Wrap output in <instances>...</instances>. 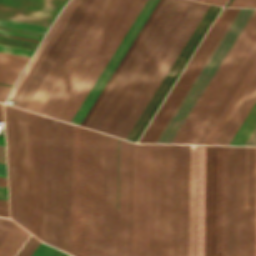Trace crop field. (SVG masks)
Listing matches in <instances>:
<instances>
[{
    "instance_id": "crop-field-1",
    "label": "crop field",
    "mask_w": 256,
    "mask_h": 256,
    "mask_svg": "<svg viewBox=\"0 0 256 256\" xmlns=\"http://www.w3.org/2000/svg\"><path fill=\"white\" fill-rule=\"evenodd\" d=\"M92 2H93V0H80L77 7L71 14L70 18L64 25L63 29L61 30V32L55 39L54 43L48 50V52L45 55V57L43 58V60L41 61L40 65L34 72L33 76L27 83L26 87L20 94L19 98L14 103V106L25 109L28 102L34 95L35 91L41 84L42 80L48 73L49 69L55 62L56 58L62 51L63 47L67 43L68 39L74 32L75 28L81 21L82 17L86 13V11L88 10V8ZM106 2H107V0H94L92 5L90 6L89 10L83 17L82 21L76 28L75 32L69 39L68 43L64 47L63 51L57 58L56 62L50 69L49 73L43 80L42 84L36 91L35 95L29 102L28 106L26 107L27 110L37 112L40 105L46 98L47 94L53 87L54 83L60 76L61 72L67 65L68 61L74 54L75 50L79 46L80 42L86 35L87 31L93 24L94 20L96 19V17L100 13L101 9L103 8V6L105 5ZM120 2H121V0H108L106 5L102 9L101 13L95 20L94 24L88 31L87 35L81 42L80 46L76 50L75 54L69 61L68 65L62 72L61 76L55 83L54 87L48 94L47 98L41 105L40 109L38 110V113L45 114V115L49 116L52 109L54 108L57 101L63 94L64 90L68 86L69 82L73 78L74 74L80 67L81 63L85 59L86 55L92 48L93 44L97 40L98 36L104 29L105 25L109 21L110 17L114 13L115 9L117 8V6L119 5ZM134 2H135V0H122L120 5L116 9L115 13L111 17L110 21L106 25L105 29L103 30V32L99 36L98 40L94 44L93 48L91 49V51L87 55L86 59L82 63L81 67L79 68V70L75 74L74 78L70 82L69 86L65 90L64 94L62 95V97L58 101L57 105L53 109L52 113L50 114L51 117L61 119L64 112L70 105L71 101L75 97L76 93L82 86L83 82L89 75L90 71L94 67L95 63L101 56L102 52L108 45L109 41L113 37L114 33L120 26L121 22L127 15L128 11L130 10V8L132 7ZM145 2H146V0H136L133 7L129 11L128 15L126 16V18L122 22L121 26L115 33L114 37L110 41L109 45L107 46V48L103 52L102 56L96 63L95 67L91 71L90 75L88 76V78L84 82L83 86L77 93L76 97L72 101L71 105L65 112L64 116L62 117L63 120L70 122L73 115L79 108L80 104L84 100L85 96L91 89L92 85L98 78L99 74L103 70L104 66L110 59L111 55L117 48L118 44L122 40L123 36L129 29L130 25L136 18L137 14L141 10V8Z\"/></svg>"
},
{
    "instance_id": "crop-field-2",
    "label": "crop field",
    "mask_w": 256,
    "mask_h": 256,
    "mask_svg": "<svg viewBox=\"0 0 256 256\" xmlns=\"http://www.w3.org/2000/svg\"><path fill=\"white\" fill-rule=\"evenodd\" d=\"M208 7L159 0L81 126L125 139Z\"/></svg>"
},
{
    "instance_id": "crop-field-3",
    "label": "crop field",
    "mask_w": 256,
    "mask_h": 256,
    "mask_svg": "<svg viewBox=\"0 0 256 256\" xmlns=\"http://www.w3.org/2000/svg\"><path fill=\"white\" fill-rule=\"evenodd\" d=\"M28 166L29 232L71 253L72 125L28 111Z\"/></svg>"
},
{
    "instance_id": "crop-field-4",
    "label": "crop field",
    "mask_w": 256,
    "mask_h": 256,
    "mask_svg": "<svg viewBox=\"0 0 256 256\" xmlns=\"http://www.w3.org/2000/svg\"><path fill=\"white\" fill-rule=\"evenodd\" d=\"M169 145L150 144L149 256H168ZM189 145H170L169 256H188Z\"/></svg>"
},
{
    "instance_id": "crop-field-5",
    "label": "crop field",
    "mask_w": 256,
    "mask_h": 256,
    "mask_svg": "<svg viewBox=\"0 0 256 256\" xmlns=\"http://www.w3.org/2000/svg\"><path fill=\"white\" fill-rule=\"evenodd\" d=\"M87 129L73 125L72 254L85 256ZM102 134L88 129L86 256H100Z\"/></svg>"
},
{
    "instance_id": "crop-field-6",
    "label": "crop field",
    "mask_w": 256,
    "mask_h": 256,
    "mask_svg": "<svg viewBox=\"0 0 256 256\" xmlns=\"http://www.w3.org/2000/svg\"><path fill=\"white\" fill-rule=\"evenodd\" d=\"M133 144L103 134L101 256H132Z\"/></svg>"
},
{
    "instance_id": "crop-field-7",
    "label": "crop field",
    "mask_w": 256,
    "mask_h": 256,
    "mask_svg": "<svg viewBox=\"0 0 256 256\" xmlns=\"http://www.w3.org/2000/svg\"><path fill=\"white\" fill-rule=\"evenodd\" d=\"M256 59V11L173 143L203 144Z\"/></svg>"
},
{
    "instance_id": "crop-field-8",
    "label": "crop field",
    "mask_w": 256,
    "mask_h": 256,
    "mask_svg": "<svg viewBox=\"0 0 256 256\" xmlns=\"http://www.w3.org/2000/svg\"><path fill=\"white\" fill-rule=\"evenodd\" d=\"M228 146H206L205 256H227Z\"/></svg>"
},
{
    "instance_id": "crop-field-9",
    "label": "crop field",
    "mask_w": 256,
    "mask_h": 256,
    "mask_svg": "<svg viewBox=\"0 0 256 256\" xmlns=\"http://www.w3.org/2000/svg\"><path fill=\"white\" fill-rule=\"evenodd\" d=\"M4 105L11 218L28 230L27 111Z\"/></svg>"
},
{
    "instance_id": "crop-field-10",
    "label": "crop field",
    "mask_w": 256,
    "mask_h": 256,
    "mask_svg": "<svg viewBox=\"0 0 256 256\" xmlns=\"http://www.w3.org/2000/svg\"><path fill=\"white\" fill-rule=\"evenodd\" d=\"M254 11L248 8L238 10L156 142L172 143Z\"/></svg>"
},
{
    "instance_id": "crop-field-11",
    "label": "crop field",
    "mask_w": 256,
    "mask_h": 256,
    "mask_svg": "<svg viewBox=\"0 0 256 256\" xmlns=\"http://www.w3.org/2000/svg\"><path fill=\"white\" fill-rule=\"evenodd\" d=\"M256 147H237L235 256H255Z\"/></svg>"
},
{
    "instance_id": "crop-field-12",
    "label": "crop field",
    "mask_w": 256,
    "mask_h": 256,
    "mask_svg": "<svg viewBox=\"0 0 256 256\" xmlns=\"http://www.w3.org/2000/svg\"><path fill=\"white\" fill-rule=\"evenodd\" d=\"M237 10L226 8L219 22H214L139 142H155Z\"/></svg>"
},
{
    "instance_id": "crop-field-13",
    "label": "crop field",
    "mask_w": 256,
    "mask_h": 256,
    "mask_svg": "<svg viewBox=\"0 0 256 256\" xmlns=\"http://www.w3.org/2000/svg\"><path fill=\"white\" fill-rule=\"evenodd\" d=\"M149 144H134L133 256H148Z\"/></svg>"
},
{
    "instance_id": "crop-field-14",
    "label": "crop field",
    "mask_w": 256,
    "mask_h": 256,
    "mask_svg": "<svg viewBox=\"0 0 256 256\" xmlns=\"http://www.w3.org/2000/svg\"><path fill=\"white\" fill-rule=\"evenodd\" d=\"M219 10H220V7L210 5L207 12L205 13L203 18L201 19L200 23L198 24V26L194 30L193 34L191 35V37L187 41L186 45L184 46V48L180 52L179 56L177 57V59L173 63L172 67L170 68V70L168 71L166 76L164 77L163 81L161 82V84L157 88L156 92L154 93V95L150 99L149 103L147 104V106L143 110L142 114L140 115V117L136 121L135 125L133 126V128L129 132L128 136L126 137V140L136 142L139 135L141 134V132L145 128L146 124L148 123V121L152 117L153 113L155 112V110L159 106L160 102L162 101V99L166 95L167 91L169 90V88L173 84L174 80L176 79V77L178 76L180 71L182 70L183 66L185 65V63L189 59L190 55L192 54V52L196 48L197 44L199 43V41L203 37L204 33L206 32V30L210 26L211 22L213 21V19L215 18V16L217 15Z\"/></svg>"
},
{
    "instance_id": "crop-field-15",
    "label": "crop field",
    "mask_w": 256,
    "mask_h": 256,
    "mask_svg": "<svg viewBox=\"0 0 256 256\" xmlns=\"http://www.w3.org/2000/svg\"><path fill=\"white\" fill-rule=\"evenodd\" d=\"M256 102V77L244 94L233 114L227 121L214 144L229 145L242 122ZM256 126V103L243 122L230 145H244L247 138Z\"/></svg>"
},
{
    "instance_id": "crop-field-16",
    "label": "crop field",
    "mask_w": 256,
    "mask_h": 256,
    "mask_svg": "<svg viewBox=\"0 0 256 256\" xmlns=\"http://www.w3.org/2000/svg\"><path fill=\"white\" fill-rule=\"evenodd\" d=\"M67 0H0V17L50 26Z\"/></svg>"
},
{
    "instance_id": "crop-field-17",
    "label": "crop field",
    "mask_w": 256,
    "mask_h": 256,
    "mask_svg": "<svg viewBox=\"0 0 256 256\" xmlns=\"http://www.w3.org/2000/svg\"><path fill=\"white\" fill-rule=\"evenodd\" d=\"M157 1L158 0H147L145 5L143 6L142 10L138 14L137 18L135 19V21L131 25L130 29L128 30V32L124 36L121 43L119 44L118 48L116 49V51L112 55L111 59L109 60V62L105 66L104 70L100 74L99 78L97 79V81L93 85L92 89L90 90V92L86 96L85 100L81 104L80 108L78 109V111L74 115L73 119L71 120V123H74V124L79 123L80 124L83 117L85 116V114L89 110L90 106L94 102L95 98L97 97V95L101 91L102 87L104 86V84L108 80L109 76L113 72L114 68L116 67V65L120 61L121 57L123 56V54L127 50L128 46L132 42L133 38L135 37V35L139 31L140 27L142 26V24L146 20L147 16L151 12L152 8L154 7V5L156 4Z\"/></svg>"
},
{
    "instance_id": "crop-field-18",
    "label": "crop field",
    "mask_w": 256,
    "mask_h": 256,
    "mask_svg": "<svg viewBox=\"0 0 256 256\" xmlns=\"http://www.w3.org/2000/svg\"><path fill=\"white\" fill-rule=\"evenodd\" d=\"M197 145H190L189 256H196Z\"/></svg>"
},
{
    "instance_id": "crop-field-19",
    "label": "crop field",
    "mask_w": 256,
    "mask_h": 256,
    "mask_svg": "<svg viewBox=\"0 0 256 256\" xmlns=\"http://www.w3.org/2000/svg\"><path fill=\"white\" fill-rule=\"evenodd\" d=\"M205 146H198L197 256H204Z\"/></svg>"
},
{
    "instance_id": "crop-field-20",
    "label": "crop field",
    "mask_w": 256,
    "mask_h": 256,
    "mask_svg": "<svg viewBox=\"0 0 256 256\" xmlns=\"http://www.w3.org/2000/svg\"><path fill=\"white\" fill-rule=\"evenodd\" d=\"M236 147L229 146L228 256H234Z\"/></svg>"
},
{
    "instance_id": "crop-field-21",
    "label": "crop field",
    "mask_w": 256,
    "mask_h": 256,
    "mask_svg": "<svg viewBox=\"0 0 256 256\" xmlns=\"http://www.w3.org/2000/svg\"><path fill=\"white\" fill-rule=\"evenodd\" d=\"M255 75H256V61L253 64V66L251 67V69L248 72V74L246 75V77L243 80V82L241 83L240 87L238 88V90L234 94L233 98L229 102L228 106L224 110L223 114L221 115V117L217 121L216 125L212 129L211 133L207 137V139L204 142V144H213V142L215 141L216 137L220 133L221 129L225 125L226 121L228 120V118L232 114L233 110L237 106L238 102L242 98L243 94L245 93V91L249 87L250 83L254 79Z\"/></svg>"
},
{
    "instance_id": "crop-field-22",
    "label": "crop field",
    "mask_w": 256,
    "mask_h": 256,
    "mask_svg": "<svg viewBox=\"0 0 256 256\" xmlns=\"http://www.w3.org/2000/svg\"><path fill=\"white\" fill-rule=\"evenodd\" d=\"M28 57L0 52V83L13 85Z\"/></svg>"
},
{
    "instance_id": "crop-field-23",
    "label": "crop field",
    "mask_w": 256,
    "mask_h": 256,
    "mask_svg": "<svg viewBox=\"0 0 256 256\" xmlns=\"http://www.w3.org/2000/svg\"><path fill=\"white\" fill-rule=\"evenodd\" d=\"M29 234L15 224L0 244V256H14Z\"/></svg>"
},
{
    "instance_id": "crop-field-24",
    "label": "crop field",
    "mask_w": 256,
    "mask_h": 256,
    "mask_svg": "<svg viewBox=\"0 0 256 256\" xmlns=\"http://www.w3.org/2000/svg\"><path fill=\"white\" fill-rule=\"evenodd\" d=\"M74 0H70V2L65 6V8L60 12L58 18L56 19V21L54 22V24L52 25V27L50 28V30L47 32V34L45 35V38H50V36L52 35V33L54 32V30L56 29V27L58 26L59 22L61 21V19L63 18V16L65 15V13L67 12L68 8L70 7V5L72 4ZM43 38L41 44L39 45L38 49L36 50L34 56L31 58L30 62L28 63V65L26 66V68L23 70V72L21 73L20 77L18 78L10 96L9 99H11V97L13 96L14 92L16 91V89L18 88V86L20 85V83L22 82L23 78L25 77V75L27 74V72L29 71V69L31 68L32 64L34 63V61L36 60V58L38 57V55L40 54L41 50L43 49V47L45 46V44L47 43L48 39Z\"/></svg>"
},
{
    "instance_id": "crop-field-25",
    "label": "crop field",
    "mask_w": 256,
    "mask_h": 256,
    "mask_svg": "<svg viewBox=\"0 0 256 256\" xmlns=\"http://www.w3.org/2000/svg\"><path fill=\"white\" fill-rule=\"evenodd\" d=\"M79 2V0H75L72 4V6L70 7V9L68 10L67 14L65 15V17L63 18V20L61 21L60 25L58 26V28L56 29V31L54 32L53 36L51 37V39L49 40V42L47 43V45L45 46V48L43 49L42 53L40 54V56L38 57V59L36 60V62L34 63V65L32 66V68L30 69L29 73L27 74V76L25 77V79L23 80V82L21 83V85L19 86V88L17 89L16 93L14 94V96L12 97V100H16V98L18 97V95L20 94V92L22 91V89L24 88L25 84L27 83V81L29 80V78L31 77V75L33 74L34 70L36 69V67L38 66V64L40 63L41 59L43 58V56L45 55V53L47 52V50L49 49L50 45L52 44V42L54 41V39L56 38L57 34L59 33V31L61 30V28L63 27V25L65 24L66 20L68 19V17L70 16V14L72 13V11L74 10L75 6L77 5V3Z\"/></svg>"
},
{
    "instance_id": "crop-field-26",
    "label": "crop field",
    "mask_w": 256,
    "mask_h": 256,
    "mask_svg": "<svg viewBox=\"0 0 256 256\" xmlns=\"http://www.w3.org/2000/svg\"><path fill=\"white\" fill-rule=\"evenodd\" d=\"M0 26L26 30V31L36 32V33H42V34H45L46 30L48 29L47 26L18 22V21L7 20L2 18H0Z\"/></svg>"
},
{
    "instance_id": "crop-field-27",
    "label": "crop field",
    "mask_w": 256,
    "mask_h": 256,
    "mask_svg": "<svg viewBox=\"0 0 256 256\" xmlns=\"http://www.w3.org/2000/svg\"><path fill=\"white\" fill-rule=\"evenodd\" d=\"M40 242L41 241L31 235V237L28 239V241L25 243V245L16 256H30Z\"/></svg>"
},
{
    "instance_id": "crop-field-28",
    "label": "crop field",
    "mask_w": 256,
    "mask_h": 256,
    "mask_svg": "<svg viewBox=\"0 0 256 256\" xmlns=\"http://www.w3.org/2000/svg\"><path fill=\"white\" fill-rule=\"evenodd\" d=\"M0 51L28 56V57H31L34 52L33 50H27V49L16 48V47L5 46V45H0Z\"/></svg>"
},
{
    "instance_id": "crop-field-29",
    "label": "crop field",
    "mask_w": 256,
    "mask_h": 256,
    "mask_svg": "<svg viewBox=\"0 0 256 256\" xmlns=\"http://www.w3.org/2000/svg\"><path fill=\"white\" fill-rule=\"evenodd\" d=\"M15 223L8 219L0 218V243Z\"/></svg>"
},
{
    "instance_id": "crop-field-30",
    "label": "crop field",
    "mask_w": 256,
    "mask_h": 256,
    "mask_svg": "<svg viewBox=\"0 0 256 256\" xmlns=\"http://www.w3.org/2000/svg\"><path fill=\"white\" fill-rule=\"evenodd\" d=\"M53 250L54 248L41 242V244L38 246L32 256H50Z\"/></svg>"
},
{
    "instance_id": "crop-field-31",
    "label": "crop field",
    "mask_w": 256,
    "mask_h": 256,
    "mask_svg": "<svg viewBox=\"0 0 256 256\" xmlns=\"http://www.w3.org/2000/svg\"><path fill=\"white\" fill-rule=\"evenodd\" d=\"M228 6L256 7V0H233Z\"/></svg>"
},
{
    "instance_id": "crop-field-32",
    "label": "crop field",
    "mask_w": 256,
    "mask_h": 256,
    "mask_svg": "<svg viewBox=\"0 0 256 256\" xmlns=\"http://www.w3.org/2000/svg\"><path fill=\"white\" fill-rule=\"evenodd\" d=\"M0 33L3 34H9V35H15V36H21V37H26V38H32V39H38L41 40V36H35V35H30V34H25V33H19V32H14V31H9V30H3L0 29Z\"/></svg>"
},
{
    "instance_id": "crop-field-33",
    "label": "crop field",
    "mask_w": 256,
    "mask_h": 256,
    "mask_svg": "<svg viewBox=\"0 0 256 256\" xmlns=\"http://www.w3.org/2000/svg\"><path fill=\"white\" fill-rule=\"evenodd\" d=\"M10 88L9 86H3V85H0V101L1 102H4L5 98L7 97L9 91H10Z\"/></svg>"
},
{
    "instance_id": "crop-field-34",
    "label": "crop field",
    "mask_w": 256,
    "mask_h": 256,
    "mask_svg": "<svg viewBox=\"0 0 256 256\" xmlns=\"http://www.w3.org/2000/svg\"><path fill=\"white\" fill-rule=\"evenodd\" d=\"M0 216L8 217L7 201L0 200Z\"/></svg>"
},
{
    "instance_id": "crop-field-35",
    "label": "crop field",
    "mask_w": 256,
    "mask_h": 256,
    "mask_svg": "<svg viewBox=\"0 0 256 256\" xmlns=\"http://www.w3.org/2000/svg\"><path fill=\"white\" fill-rule=\"evenodd\" d=\"M245 145H256V127L250 137L248 138L247 142Z\"/></svg>"
},
{
    "instance_id": "crop-field-36",
    "label": "crop field",
    "mask_w": 256,
    "mask_h": 256,
    "mask_svg": "<svg viewBox=\"0 0 256 256\" xmlns=\"http://www.w3.org/2000/svg\"><path fill=\"white\" fill-rule=\"evenodd\" d=\"M0 199H7V187L0 186Z\"/></svg>"
},
{
    "instance_id": "crop-field-37",
    "label": "crop field",
    "mask_w": 256,
    "mask_h": 256,
    "mask_svg": "<svg viewBox=\"0 0 256 256\" xmlns=\"http://www.w3.org/2000/svg\"><path fill=\"white\" fill-rule=\"evenodd\" d=\"M0 36H2V37H8V38H13V39H19V40H25V41H30V42H36V43H39V41H38V40L26 39V38L15 37V36H9V35H3V34H0Z\"/></svg>"
},
{
    "instance_id": "crop-field-38",
    "label": "crop field",
    "mask_w": 256,
    "mask_h": 256,
    "mask_svg": "<svg viewBox=\"0 0 256 256\" xmlns=\"http://www.w3.org/2000/svg\"><path fill=\"white\" fill-rule=\"evenodd\" d=\"M199 1L223 5L227 0H199Z\"/></svg>"
},
{
    "instance_id": "crop-field-39",
    "label": "crop field",
    "mask_w": 256,
    "mask_h": 256,
    "mask_svg": "<svg viewBox=\"0 0 256 256\" xmlns=\"http://www.w3.org/2000/svg\"><path fill=\"white\" fill-rule=\"evenodd\" d=\"M51 256H70V255H68V254H66V253H63V252H61V251H59V250L56 249V250L52 253Z\"/></svg>"
},
{
    "instance_id": "crop-field-40",
    "label": "crop field",
    "mask_w": 256,
    "mask_h": 256,
    "mask_svg": "<svg viewBox=\"0 0 256 256\" xmlns=\"http://www.w3.org/2000/svg\"><path fill=\"white\" fill-rule=\"evenodd\" d=\"M0 162L5 163L4 147L0 146Z\"/></svg>"
},
{
    "instance_id": "crop-field-41",
    "label": "crop field",
    "mask_w": 256,
    "mask_h": 256,
    "mask_svg": "<svg viewBox=\"0 0 256 256\" xmlns=\"http://www.w3.org/2000/svg\"><path fill=\"white\" fill-rule=\"evenodd\" d=\"M0 174L6 175L5 164L0 163Z\"/></svg>"
},
{
    "instance_id": "crop-field-42",
    "label": "crop field",
    "mask_w": 256,
    "mask_h": 256,
    "mask_svg": "<svg viewBox=\"0 0 256 256\" xmlns=\"http://www.w3.org/2000/svg\"><path fill=\"white\" fill-rule=\"evenodd\" d=\"M0 185H5V186H7V184H6V179L0 178Z\"/></svg>"
},
{
    "instance_id": "crop-field-43",
    "label": "crop field",
    "mask_w": 256,
    "mask_h": 256,
    "mask_svg": "<svg viewBox=\"0 0 256 256\" xmlns=\"http://www.w3.org/2000/svg\"><path fill=\"white\" fill-rule=\"evenodd\" d=\"M0 145L4 146V137L0 136Z\"/></svg>"
},
{
    "instance_id": "crop-field-44",
    "label": "crop field",
    "mask_w": 256,
    "mask_h": 256,
    "mask_svg": "<svg viewBox=\"0 0 256 256\" xmlns=\"http://www.w3.org/2000/svg\"><path fill=\"white\" fill-rule=\"evenodd\" d=\"M1 117H3L2 110H0V120L3 121V118L1 119Z\"/></svg>"
},
{
    "instance_id": "crop-field-45",
    "label": "crop field",
    "mask_w": 256,
    "mask_h": 256,
    "mask_svg": "<svg viewBox=\"0 0 256 256\" xmlns=\"http://www.w3.org/2000/svg\"><path fill=\"white\" fill-rule=\"evenodd\" d=\"M0 177H4V178H6V176H4V175H0Z\"/></svg>"
},
{
    "instance_id": "crop-field-46",
    "label": "crop field",
    "mask_w": 256,
    "mask_h": 256,
    "mask_svg": "<svg viewBox=\"0 0 256 256\" xmlns=\"http://www.w3.org/2000/svg\"><path fill=\"white\" fill-rule=\"evenodd\" d=\"M0 109H2V104H0Z\"/></svg>"
}]
</instances>
